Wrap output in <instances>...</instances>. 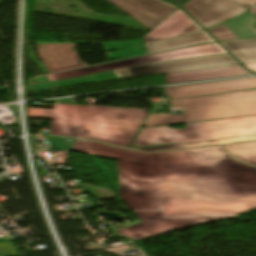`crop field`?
Masks as SVG:
<instances>
[{
    "mask_svg": "<svg viewBox=\"0 0 256 256\" xmlns=\"http://www.w3.org/2000/svg\"><path fill=\"white\" fill-rule=\"evenodd\" d=\"M71 150L159 168L161 189H120L131 210L163 214L116 230L130 239L237 218L256 209V168L234 160L220 146L143 154L76 139Z\"/></svg>",
    "mask_w": 256,
    "mask_h": 256,
    "instance_id": "1",
    "label": "crop field"
},
{
    "mask_svg": "<svg viewBox=\"0 0 256 256\" xmlns=\"http://www.w3.org/2000/svg\"><path fill=\"white\" fill-rule=\"evenodd\" d=\"M28 112L29 117L52 119L49 134L84 138L126 148L130 147L149 113L141 109L65 104H53V110L28 108Z\"/></svg>",
    "mask_w": 256,
    "mask_h": 256,
    "instance_id": "2",
    "label": "crop field"
},
{
    "mask_svg": "<svg viewBox=\"0 0 256 256\" xmlns=\"http://www.w3.org/2000/svg\"><path fill=\"white\" fill-rule=\"evenodd\" d=\"M185 106L182 116L150 114L143 127L226 119L256 114V90L170 101Z\"/></svg>",
    "mask_w": 256,
    "mask_h": 256,
    "instance_id": "3",
    "label": "crop field"
},
{
    "mask_svg": "<svg viewBox=\"0 0 256 256\" xmlns=\"http://www.w3.org/2000/svg\"><path fill=\"white\" fill-rule=\"evenodd\" d=\"M249 135H256V115L191 123L186 124L184 129H170L169 126L142 129L133 145L193 142Z\"/></svg>",
    "mask_w": 256,
    "mask_h": 256,
    "instance_id": "4",
    "label": "crop field"
},
{
    "mask_svg": "<svg viewBox=\"0 0 256 256\" xmlns=\"http://www.w3.org/2000/svg\"><path fill=\"white\" fill-rule=\"evenodd\" d=\"M237 64L239 63L230 54H226V55H219V56L150 64V65L126 68V69L116 70V71L101 72V73H96V74H91V75H86V76L61 80V81L41 83L39 85H40V88L43 89V88H49V87H56V86H62V85L105 80V79H112V78H120V77H127V76H135V75H143V74H151V73H157V74L174 73V72H182V71L232 66Z\"/></svg>",
    "mask_w": 256,
    "mask_h": 256,
    "instance_id": "5",
    "label": "crop field"
},
{
    "mask_svg": "<svg viewBox=\"0 0 256 256\" xmlns=\"http://www.w3.org/2000/svg\"><path fill=\"white\" fill-rule=\"evenodd\" d=\"M226 53L228 52L222 49L218 43L206 44L201 46L178 49V50L169 51V52L160 53V54H154V55H148V56L122 60V61L106 63L105 65H102V66L57 74L53 76H44L41 78L29 80V84L66 79V78H71V77H76V76H81V75H86V74H91V73H96L101 71L149 64V63L173 61V60H179V59L219 55V54H226Z\"/></svg>",
    "mask_w": 256,
    "mask_h": 256,
    "instance_id": "6",
    "label": "crop field"
},
{
    "mask_svg": "<svg viewBox=\"0 0 256 256\" xmlns=\"http://www.w3.org/2000/svg\"><path fill=\"white\" fill-rule=\"evenodd\" d=\"M107 1L150 30L178 9V7L160 0Z\"/></svg>",
    "mask_w": 256,
    "mask_h": 256,
    "instance_id": "7",
    "label": "crop field"
},
{
    "mask_svg": "<svg viewBox=\"0 0 256 256\" xmlns=\"http://www.w3.org/2000/svg\"><path fill=\"white\" fill-rule=\"evenodd\" d=\"M204 28L232 18L245 9L223 0H190L182 6Z\"/></svg>",
    "mask_w": 256,
    "mask_h": 256,
    "instance_id": "8",
    "label": "crop field"
},
{
    "mask_svg": "<svg viewBox=\"0 0 256 256\" xmlns=\"http://www.w3.org/2000/svg\"><path fill=\"white\" fill-rule=\"evenodd\" d=\"M256 88V77L164 88L169 99Z\"/></svg>",
    "mask_w": 256,
    "mask_h": 256,
    "instance_id": "9",
    "label": "crop field"
},
{
    "mask_svg": "<svg viewBox=\"0 0 256 256\" xmlns=\"http://www.w3.org/2000/svg\"><path fill=\"white\" fill-rule=\"evenodd\" d=\"M120 188L150 190L160 188L158 169L119 161Z\"/></svg>",
    "mask_w": 256,
    "mask_h": 256,
    "instance_id": "10",
    "label": "crop field"
},
{
    "mask_svg": "<svg viewBox=\"0 0 256 256\" xmlns=\"http://www.w3.org/2000/svg\"><path fill=\"white\" fill-rule=\"evenodd\" d=\"M202 30L187 14L181 9L174 12L167 19L150 31L143 37V41H153L167 37L192 33Z\"/></svg>",
    "mask_w": 256,
    "mask_h": 256,
    "instance_id": "11",
    "label": "crop field"
},
{
    "mask_svg": "<svg viewBox=\"0 0 256 256\" xmlns=\"http://www.w3.org/2000/svg\"><path fill=\"white\" fill-rule=\"evenodd\" d=\"M208 32L218 42L256 37V16L247 13Z\"/></svg>",
    "mask_w": 256,
    "mask_h": 256,
    "instance_id": "12",
    "label": "crop field"
},
{
    "mask_svg": "<svg viewBox=\"0 0 256 256\" xmlns=\"http://www.w3.org/2000/svg\"><path fill=\"white\" fill-rule=\"evenodd\" d=\"M247 72L249 71H247L241 66H232V67H224V68H216V69H208V70L166 74L165 78H166V84H174V83L192 82V81H200V80L244 76V75H247Z\"/></svg>",
    "mask_w": 256,
    "mask_h": 256,
    "instance_id": "13",
    "label": "crop field"
},
{
    "mask_svg": "<svg viewBox=\"0 0 256 256\" xmlns=\"http://www.w3.org/2000/svg\"><path fill=\"white\" fill-rule=\"evenodd\" d=\"M215 42L205 31L193 34L182 36L178 38L158 41L154 43L146 44L148 53H157L160 51H167L182 47L193 46L196 44H205V43H213Z\"/></svg>",
    "mask_w": 256,
    "mask_h": 256,
    "instance_id": "14",
    "label": "crop field"
},
{
    "mask_svg": "<svg viewBox=\"0 0 256 256\" xmlns=\"http://www.w3.org/2000/svg\"><path fill=\"white\" fill-rule=\"evenodd\" d=\"M242 63L256 62V38L220 43Z\"/></svg>",
    "mask_w": 256,
    "mask_h": 256,
    "instance_id": "15",
    "label": "crop field"
},
{
    "mask_svg": "<svg viewBox=\"0 0 256 256\" xmlns=\"http://www.w3.org/2000/svg\"><path fill=\"white\" fill-rule=\"evenodd\" d=\"M251 141H256V136L207 140V141H199V142L175 144V145L143 147V148H136L135 150L144 151V152H155V151L172 150V149H179V148L205 146V145H211V144H234V143L251 142Z\"/></svg>",
    "mask_w": 256,
    "mask_h": 256,
    "instance_id": "16",
    "label": "crop field"
},
{
    "mask_svg": "<svg viewBox=\"0 0 256 256\" xmlns=\"http://www.w3.org/2000/svg\"><path fill=\"white\" fill-rule=\"evenodd\" d=\"M224 148L236 159L256 166V142L226 145Z\"/></svg>",
    "mask_w": 256,
    "mask_h": 256,
    "instance_id": "17",
    "label": "crop field"
},
{
    "mask_svg": "<svg viewBox=\"0 0 256 256\" xmlns=\"http://www.w3.org/2000/svg\"><path fill=\"white\" fill-rule=\"evenodd\" d=\"M40 136L46 137L47 140L51 143L52 148H55V149L70 150L73 145L72 142L66 141L65 138L45 136V135H40Z\"/></svg>",
    "mask_w": 256,
    "mask_h": 256,
    "instance_id": "18",
    "label": "crop field"
},
{
    "mask_svg": "<svg viewBox=\"0 0 256 256\" xmlns=\"http://www.w3.org/2000/svg\"><path fill=\"white\" fill-rule=\"evenodd\" d=\"M225 1L236 4L245 9L250 8L252 5H254L256 3V0H225Z\"/></svg>",
    "mask_w": 256,
    "mask_h": 256,
    "instance_id": "19",
    "label": "crop field"
},
{
    "mask_svg": "<svg viewBox=\"0 0 256 256\" xmlns=\"http://www.w3.org/2000/svg\"><path fill=\"white\" fill-rule=\"evenodd\" d=\"M136 216L141 219V218H145V217H148V216H152V215H156V214H151V213H143V212H135L133 211Z\"/></svg>",
    "mask_w": 256,
    "mask_h": 256,
    "instance_id": "20",
    "label": "crop field"
},
{
    "mask_svg": "<svg viewBox=\"0 0 256 256\" xmlns=\"http://www.w3.org/2000/svg\"><path fill=\"white\" fill-rule=\"evenodd\" d=\"M245 67L256 73V64L245 65Z\"/></svg>",
    "mask_w": 256,
    "mask_h": 256,
    "instance_id": "21",
    "label": "crop field"
},
{
    "mask_svg": "<svg viewBox=\"0 0 256 256\" xmlns=\"http://www.w3.org/2000/svg\"><path fill=\"white\" fill-rule=\"evenodd\" d=\"M168 1H170V2H173V3H175V4H177V5H181V4H183L186 0H168Z\"/></svg>",
    "mask_w": 256,
    "mask_h": 256,
    "instance_id": "22",
    "label": "crop field"
},
{
    "mask_svg": "<svg viewBox=\"0 0 256 256\" xmlns=\"http://www.w3.org/2000/svg\"><path fill=\"white\" fill-rule=\"evenodd\" d=\"M40 89L38 84L29 85V90Z\"/></svg>",
    "mask_w": 256,
    "mask_h": 256,
    "instance_id": "23",
    "label": "crop field"
},
{
    "mask_svg": "<svg viewBox=\"0 0 256 256\" xmlns=\"http://www.w3.org/2000/svg\"><path fill=\"white\" fill-rule=\"evenodd\" d=\"M249 12L256 15V5L249 9Z\"/></svg>",
    "mask_w": 256,
    "mask_h": 256,
    "instance_id": "24",
    "label": "crop field"
},
{
    "mask_svg": "<svg viewBox=\"0 0 256 256\" xmlns=\"http://www.w3.org/2000/svg\"><path fill=\"white\" fill-rule=\"evenodd\" d=\"M0 241H10V238L7 236L0 237Z\"/></svg>",
    "mask_w": 256,
    "mask_h": 256,
    "instance_id": "25",
    "label": "crop field"
}]
</instances>
